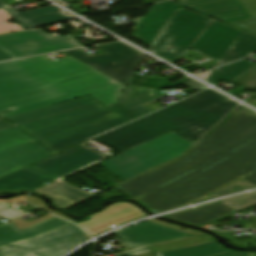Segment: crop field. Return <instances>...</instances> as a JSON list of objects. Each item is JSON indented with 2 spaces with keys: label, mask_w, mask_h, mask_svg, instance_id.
<instances>
[{
  "label": "crop field",
  "mask_w": 256,
  "mask_h": 256,
  "mask_svg": "<svg viewBox=\"0 0 256 256\" xmlns=\"http://www.w3.org/2000/svg\"><path fill=\"white\" fill-rule=\"evenodd\" d=\"M256 169V114L236 110L186 156L119 187L153 212L201 200Z\"/></svg>",
  "instance_id": "crop-field-1"
},
{
  "label": "crop field",
  "mask_w": 256,
  "mask_h": 256,
  "mask_svg": "<svg viewBox=\"0 0 256 256\" xmlns=\"http://www.w3.org/2000/svg\"><path fill=\"white\" fill-rule=\"evenodd\" d=\"M124 87L72 57L53 62L42 55L0 63V116L5 118L85 95L112 107Z\"/></svg>",
  "instance_id": "crop-field-2"
},
{
  "label": "crop field",
  "mask_w": 256,
  "mask_h": 256,
  "mask_svg": "<svg viewBox=\"0 0 256 256\" xmlns=\"http://www.w3.org/2000/svg\"><path fill=\"white\" fill-rule=\"evenodd\" d=\"M237 105L206 90L96 139L121 152L171 131L193 142Z\"/></svg>",
  "instance_id": "crop-field-3"
},
{
  "label": "crop field",
  "mask_w": 256,
  "mask_h": 256,
  "mask_svg": "<svg viewBox=\"0 0 256 256\" xmlns=\"http://www.w3.org/2000/svg\"><path fill=\"white\" fill-rule=\"evenodd\" d=\"M131 251L117 253L135 256L154 252L157 256H216L231 252L196 230L155 219L114 233Z\"/></svg>",
  "instance_id": "crop-field-4"
},
{
  "label": "crop field",
  "mask_w": 256,
  "mask_h": 256,
  "mask_svg": "<svg viewBox=\"0 0 256 256\" xmlns=\"http://www.w3.org/2000/svg\"><path fill=\"white\" fill-rule=\"evenodd\" d=\"M121 117L97 103L22 124L21 127L48 147Z\"/></svg>",
  "instance_id": "crop-field-5"
},
{
  "label": "crop field",
  "mask_w": 256,
  "mask_h": 256,
  "mask_svg": "<svg viewBox=\"0 0 256 256\" xmlns=\"http://www.w3.org/2000/svg\"><path fill=\"white\" fill-rule=\"evenodd\" d=\"M191 146V144L170 133L129 149L99 164L127 180L182 154Z\"/></svg>",
  "instance_id": "crop-field-6"
},
{
  "label": "crop field",
  "mask_w": 256,
  "mask_h": 256,
  "mask_svg": "<svg viewBox=\"0 0 256 256\" xmlns=\"http://www.w3.org/2000/svg\"><path fill=\"white\" fill-rule=\"evenodd\" d=\"M210 21L184 9H177L150 51L174 64L183 57Z\"/></svg>",
  "instance_id": "crop-field-7"
},
{
  "label": "crop field",
  "mask_w": 256,
  "mask_h": 256,
  "mask_svg": "<svg viewBox=\"0 0 256 256\" xmlns=\"http://www.w3.org/2000/svg\"><path fill=\"white\" fill-rule=\"evenodd\" d=\"M96 48L107 54L90 57L79 50L66 53L125 85L144 56L121 42Z\"/></svg>",
  "instance_id": "crop-field-8"
},
{
  "label": "crop field",
  "mask_w": 256,
  "mask_h": 256,
  "mask_svg": "<svg viewBox=\"0 0 256 256\" xmlns=\"http://www.w3.org/2000/svg\"><path fill=\"white\" fill-rule=\"evenodd\" d=\"M80 46L71 35L53 38L39 29L0 36V50L13 59Z\"/></svg>",
  "instance_id": "crop-field-9"
},
{
  "label": "crop field",
  "mask_w": 256,
  "mask_h": 256,
  "mask_svg": "<svg viewBox=\"0 0 256 256\" xmlns=\"http://www.w3.org/2000/svg\"><path fill=\"white\" fill-rule=\"evenodd\" d=\"M87 239L89 237L81 229L72 225L37 239L0 249V256H60Z\"/></svg>",
  "instance_id": "crop-field-10"
},
{
  "label": "crop field",
  "mask_w": 256,
  "mask_h": 256,
  "mask_svg": "<svg viewBox=\"0 0 256 256\" xmlns=\"http://www.w3.org/2000/svg\"><path fill=\"white\" fill-rule=\"evenodd\" d=\"M106 158L108 157L80 145L30 167L57 178H62L98 163Z\"/></svg>",
  "instance_id": "crop-field-11"
},
{
  "label": "crop field",
  "mask_w": 256,
  "mask_h": 256,
  "mask_svg": "<svg viewBox=\"0 0 256 256\" xmlns=\"http://www.w3.org/2000/svg\"><path fill=\"white\" fill-rule=\"evenodd\" d=\"M242 32L212 20L190 49L220 62Z\"/></svg>",
  "instance_id": "crop-field-12"
},
{
  "label": "crop field",
  "mask_w": 256,
  "mask_h": 256,
  "mask_svg": "<svg viewBox=\"0 0 256 256\" xmlns=\"http://www.w3.org/2000/svg\"><path fill=\"white\" fill-rule=\"evenodd\" d=\"M146 216L132 204L120 202L111 205L104 211L89 216L91 219L78 223L92 236L102 233L115 226Z\"/></svg>",
  "instance_id": "crop-field-13"
},
{
  "label": "crop field",
  "mask_w": 256,
  "mask_h": 256,
  "mask_svg": "<svg viewBox=\"0 0 256 256\" xmlns=\"http://www.w3.org/2000/svg\"><path fill=\"white\" fill-rule=\"evenodd\" d=\"M180 6L219 19L225 23L248 18L238 0H177Z\"/></svg>",
  "instance_id": "crop-field-14"
},
{
  "label": "crop field",
  "mask_w": 256,
  "mask_h": 256,
  "mask_svg": "<svg viewBox=\"0 0 256 256\" xmlns=\"http://www.w3.org/2000/svg\"><path fill=\"white\" fill-rule=\"evenodd\" d=\"M178 7L174 1L153 5L130 36L151 47Z\"/></svg>",
  "instance_id": "crop-field-15"
},
{
  "label": "crop field",
  "mask_w": 256,
  "mask_h": 256,
  "mask_svg": "<svg viewBox=\"0 0 256 256\" xmlns=\"http://www.w3.org/2000/svg\"><path fill=\"white\" fill-rule=\"evenodd\" d=\"M164 95L165 94L158 93L151 89L126 85L125 89L114 104L113 110L124 115L126 119L131 121L154 111L143 104Z\"/></svg>",
  "instance_id": "crop-field-16"
},
{
  "label": "crop field",
  "mask_w": 256,
  "mask_h": 256,
  "mask_svg": "<svg viewBox=\"0 0 256 256\" xmlns=\"http://www.w3.org/2000/svg\"><path fill=\"white\" fill-rule=\"evenodd\" d=\"M50 156L47 149L35 141L0 153V177Z\"/></svg>",
  "instance_id": "crop-field-17"
},
{
  "label": "crop field",
  "mask_w": 256,
  "mask_h": 256,
  "mask_svg": "<svg viewBox=\"0 0 256 256\" xmlns=\"http://www.w3.org/2000/svg\"><path fill=\"white\" fill-rule=\"evenodd\" d=\"M69 224L71 223L53 217L24 231L18 230L11 223L0 225V248L37 238Z\"/></svg>",
  "instance_id": "crop-field-18"
},
{
  "label": "crop field",
  "mask_w": 256,
  "mask_h": 256,
  "mask_svg": "<svg viewBox=\"0 0 256 256\" xmlns=\"http://www.w3.org/2000/svg\"><path fill=\"white\" fill-rule=\"evenodd\" d=\"M57 178L27 167L0 179V194L26 193Z\"/></svg>",
  "instance_id": "crop-field-19"
},
{
  "label": "crop field",
  "mask_w": 256,
  "mask_h": 256,
  "mask_svg": "<svg viewBox=\"0 0 256 256\" xmlns=\"http://www.w3.org/2000/svg\"><path fill=\"white\" fill-rule=\"evenodd\" d=\"M34 192L52 199L55 206L64 210L96 196L59 182H55Z\"/></svg>",
  "instance_id": "crop-field-20"
},
{
  "label": "crop field",
  "mask_w": 256,
  "mask_h": 256,
  "mask_svg": "<svg viewBox=\"0 0 256 256\" xmlns=\"http://www.w3.org/2000/svg\"><path fill=\"white\" fill-rule=\"evenodd\" d=\"M93 103H97V102L94 101L93 99L85 96V97L75 99V100H72V101H69V102H66V103H62V104L50 106V107H47V108L27 112V113H24V114L12 116V117H9L8 120L15 123L16 125H19V124H22V123H26V122L33 121V120H36V119L44 118V117L51 116V115H54V114H58V113H61V112H65V111H68V110L76 109V108L83 107V106H86V105H90V104H93ZM10 127H14V126L11 125L10 123L6 122L3 119L0 120V130L7 129V128H10Z\"/></svg>",
  "instance_id": "crop-field-21"
},
{
  "label": "crop field",
  "mask_w": 256,
  "mask_h": 256,
  "mask_svg": "<svg viewBox=\"0 0 256 256\" xmlns=\"http://www.w3.org/2000/svg\"><path fill=\"white\" fill-rule=\"evenodd\" d=\"M9 15L24 29L32 28L41 25L62 22L72 20L66 17L60 16L56 7H45L40 9H35L31 11L18 13L13 8H5Z\"/></svg>",
  "instance_id": "crop-field-22"
},
{
  "label": "crop field",
  "mask_w": 256,
  "mask_h": 256,
  "mask_svg": "<svg viewBox=\"0 0 256 256\" xmlns=\"http://www.w3.org/2000/svg\"><path fill=\"white\" fill-rule=\"evenodd\" d=\"M235 212L236 211L218 202L215 204L202 206L197 209L187 210L182 213L170 214L164 217L200 226Z\"/></svg>",
  "instance_id": "crop-field-23"
},
{
  "label": "crop field",
  "mask_w": 256,
  "mask_h": 256,
  "mask_svg": "<svg viewBox=\"0 0 256 256\" xmlns=\"http://www.w3.org/2000/svg\"><path fill=\"white\" fill-rule=\"evenodd\" d=\"M255 65L242 60L212 71L205 82L213 85L221 81L229 82Z\"/></svg>",
  "instance_id": "crop-field-24"
},
{
  "label": "crop field",
  "mask_w": 256,
  "mask_h": 256,
  "mask_svg": "<svg viewBox=\"0 0 256 256\" xmlns=\"http://www.w3.org/2000/svg\"><path fill=\"white\" fill-rule=\"evenodd\" d=\"M255 52L256 37L243 32V34L238 39L237 44L234 45L230 51H228V53L217 66L251 55Z\"/></svg>",
  "instance_id": "crop-field-25"
},
{
  "label": "crop field",
  "mask_w": 256,
  "mask_h": 256,
  "mask_svg": "<svg viewBox=\"0 0 256 256\" xmlns=\"http://www.w3.org/2000/svg\"><path fill=\"white\" fill-rule=\"evenodd\" d=\"M126 122H128V120H126L125 118H121L119 120H116V121L111 122L109 124H106L104 126L98 127L96 129H93L91 131H88L86 133L78 135V136L73 137L71 139H68L66 141L60 142V143L55 144L53 146H50L48 148L50 150L56 152V153H59V152L65 150L67 148H70V147H72V146H74L76 144H79V143H82L84 141H87V140L91 139L92 137H94V136H96V135H98V134H100L102 132H105V131H107L109 129L117 127V126H119L121 124H124Z\"/></svg>",
  "instance_id": "crop-field-26"
},
{
  "label": "crop field",
  "mask_w": 256,
  "mask_h": 256,
  "mask_svg": "<svg viewBox=\"0 0 256 256\" xmlns=\"http://www.w3.org/2000/svg\"><path fill=\"white\" fill-rule=\"evenodd\" d=\"M32 140L33 139L16 127L0 131V152Z\"/></svg>",
  "instance_id": "crop-field-27"
},
{
  "label": "crop field",
  "mask_w": 256,
  "mask_h": 256,
  "mask_svg": "<svg viewBox=\"0 0 256 256\" xmlns=\"http://www.w3.org/2000/svg\"><path fill=\"white\" fill-rule=\"evenodd\" d=\"M250 18L228 23L231 26L239 28L243 31L256 35V0H239Z\"/></svg>",
  "instance_id": "crop-field-28"
},
{
  "label": "crop field",
  "mask_w": 256,
  "mask_h": 256,
  "mask_svg": "<svg viewBox=\"0 0 256 256\" xmlns=\"http://www.w3.org/2000/svg\"><path fill=\"white\" fill-rule=\"evenodd\" d=\"M230 83L236 86H239L241 88L255 92L256 91V67L247 71L246 73L234 79Z\"/></svg>",
  "instance_id": "crop-field-29"
},
{
  "label": "crop field",
  "mask_w": 256,
  "mask_h": 256,
  "mask_svg": "<svg viewBox=\"0 0 256 256\" xmlns=\"http://www.w3.org/2000/svg\"><path fill=\"white\" fill-rule=\"evenodd\" d=\"M221 203L239 211L241 209L256 204V193L228 199L225 201H221Z\"/></svg>",
  "instance_id": "crop-field-30"
},
{
  "label": "crop field",
  "mask_w": 256,
  "mask_h": 256,
  "mask_svg": "<svg viewBox=\"0 0 256 256\" xmlns=\"http://www.w3.org/2000/svg\"><path fill=\"white\" fill-rule=\"evenodd\" d=\"M250 188H254V186H252L249 183L240 179L237 182H235L234 184L218 191L217 193H215L209 197L213 198V197H217V196H221V195H225V194H229V193H233V192H237V191H242V190H246V189H250Z\"/></svg>",
  "instance_id": "crop-field-31"
},
{
  "label": "crop field",
  "mask_w": 256,
  "mask_h": 256,
  "mask_svg": "<svg viewBox=\"0 0 256 256\" xmlns=\"http://www.w3.org/2000/svg\"><path fill=\"white\" fill-rule=\"evenodd\" d=\"M10 19H12V18L8 15V13L4 9H1L0 10V22L10 20ZM22 29L23 28L20 27L19 25H16V26H12L11 24L2 25L0 23V34L10 33V32H14V31L22 30Z\"/></svg>",
  "instance_id": "crop-field-32"
},
{
  "label": "crop field",
  "mask_w": 256,
  "mask_h": 256,
  "mask_svg": "<svg viewBox=\"0 0 256 256\" xmlns=\"http://www.w3.org/2000/svg\"><path fill=\"white\" fill-rule=\"evenodd\" d=\"M23 214H25V213L18 209L15 211L10 210L9 205L0 204V215H2L4 218H6L9 221H11Z\"/></svg>",
  "instance_id": "crop-field-33"
},
{
  "label": "crop field",
  "mask_w": 256,
  "mask_h": 256,
  "mask_svg": "<svg viewBox=\"0 0 256 256\" xmlns=\"http://www.w3.org/2000/svg\"><path fill=\"white\" fill-rule=\"evenodd\" d=\"M27 201L30 202V203H32V204H34V205H36V206H38V207H40V208H42V209H44V210H46V211H48V212H50V213H52V214H55V215H58V216H60V217L66 218V217H64L62 214L55 213V212H53V211L47 209V208L45 207V205L43 204V202H42L40 199L36 198V197L29 196L28 199H27ZM66 219H68V218H66ZM68 220H70V221H72V222H75V220H71V219H68Z\"/></svg>",
  "instance_id": "crop-field-34"
},
{
  "label": "crop field",
  "mask_w": 256,
  "mask_h": 256,
  "mask_svg": "<svg viewBox=\"0 0 256 256\" xmlns=\"http://www.w3.org/2000/svg\"><path fill=\"white\" fill-rule=\"evenodd\" d=\"M241 179L249 182L250 184L256 186V170L253 171L252 173L242 177Z\"/></svg>",
  "instance_id": "crop-field-35"
},
{
  "label": "crop field",
  "mask_w": 256,
  "mask_h": 256,
  "mask_svg": "<svg viewBox=\"0 0 256 256\" xmlns=\"http://www.w3.org/2000/svg\"><path fill=\"white\" fill-rule=\"evenodd\" d=\"M254 254L255 253H243V252L233 251L231 253L220 255V256H250V255H254Z\"/></svg>",
  "instance_id": "crop-field-36"
},
{
  "label": "crop field",
  "mask_w": 256,
  "mask_h": 256,
  "mask_svg": "<svg viewBox=\"0 0 256 256\" xmlns=\"http://www.w3.org/2000/svg\"><path fill=\"white\" fill-rule=\"evenodd\" d=\"M11 60L10 57L0 51V61Z\"/></svg>",
  "instance_id": "crop-field-37"
},
{
  "label": "crop field",
  "mask_w": 256,
  "mask_h": 256,
  "mask_svg": "<svg viewBox=\"0 0 256 256\" xmlns=\"http://www.w3.org/2000/svg\"><path fill=\"white\" fill-rule=\"evenodd\" d=\"M157 1H163V0H144V4L152 3V2H157Z\"/></svg>",
  "instance_id": "crop-field-38"
},
{
  "label": "crop field",
  "mask_w": 256,
  "mask_h": 256,
  "mask_svg": "<svg viewBox=\"0 0 256 256\" xmlns=\"http://www.w3.org/2000/svg\"><path fill=\"white\" fill-rule=\"evenodd\" d=\"M6 7V5H4L1 1H0V8H4Z\"/></svg>",
  "instance_id": "crop-field-39"
},
{
  "label": "crop field",
  "mask_w": 256,
  "mask_h": 256,
  "mask_svg": "<svg viewBox=\"0 0 256 256\" xmlns=\"http://www.w3.org/2000/svg\"><path fill=\"white\" fill-rule=\"evenodd\" d=\"M254 256H256V255H254Z\"/></svg>",
  "instance_id": "crop-field-40"
},
{
  "label": "crop field",
  "mask_w": 256,
  "mask_h": 256,
  "mask_svg": "<svg viewBox=\"0 0 256 256\" xmlns=\"http://www.w3.org/2000/svg\"><path fill=\"white\" fill-rule=\"evenodd\" d=\"M0 119H2V118H0Z\"/></svg>",
  "instance_id": "crop-field-41"
}]
</instances>
